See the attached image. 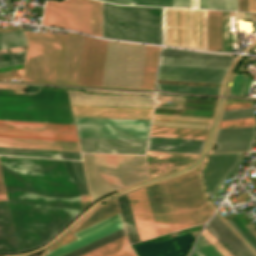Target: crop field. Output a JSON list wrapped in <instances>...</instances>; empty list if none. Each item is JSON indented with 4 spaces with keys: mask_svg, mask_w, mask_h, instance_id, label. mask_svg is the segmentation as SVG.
<instances>
[{
    "mask_svg": "<svg viewBox=\"0 0 256 256\" xmlns=\"http://www.w3.org/2000/svg\"><path fill=\"white\" fill-rule=\"evenodd\" d=\"M157 231V235L170 233V227L158 189V185H149L144 188Z\"/></svg>",
    "mask_w": 256,
    "mask_h": 256,
    "instance_id": "23",
    "label": "crop field"
},
{
    "mask_svg": "<svg viewBox=\"0 0 256 256\" xmlns=\"http://www.w3.org/2000/svg\"><path fill=\"white\" fill-rule=\"evenodd\" d=\"M238 10L248 11V0H238Z\"/></svg>",
    "mask_w": 256,
    "mask_h": 256,
    "instance_id": "48",
    "label": "crop field"
},
{
    "mask_svg": "<svg viewBox=\"0 0 256 256\" xmlns=\"http://www.w3.org/2000/svg\"><path fill=\"white\" fill-rule=\"evenodd\" d=\"M122 227L123 226L120 214L118 213L110 218H107L97 224H94L86 229L75 233V236L78 240L62 246L56 250H53L47 253L45 256H61L111 232H114Z\"/></svg>",
    "mask_w": 256,
    "mask_h": 256,
    "instance_id": "14",
    "label": "crop field"
},
{
    "mask_svg": "<svg viewBox=\"0 0 256 256\" xmlns=\"http://www.w3.org/2000/svg\"><path fill=\"white\" fill-rule=\"evenodd\" d=\"M192 256H222V255L203 236H201Z\"/></svg>",
    "mask_w": 256,
    "mask_h": 256,
    "instance_id": "38",
    "label": "crop field"
},
{
    "mask_svg": "<svg viewBox=\"0 0 256 256\" xmlns=\"http://www.w3.org/2000/svg\"><path fill=\"white\" fill-rule=\"evenodd\" d=\"M239 154L240 153H223L214 154L211 157L202 172L206 192L212 191Z\"/></svg>",
    "mask_w": 256,
    "mask_h": 256,
    "instance_id": "19",
    "label": "crop field"
},
{
    "mask_svg": "<svg viewBox=\"0 0 256 256\" xmlns=\"http://www.w3.org/2000/svg\"><path fill=\"white\" fill-rule=\"evenodd\" d=\"M171 231L206 222L213 211L204 200L197 171L158 184Z\"/></svg>",
    "mask_w": 256,
    "mask_h": 256,
    "instance_id": "5",
    "label": "crop field"
},
{
    "mask_svg": "<svg viewBox=\"0 0 256 256\" xmlns=\"http://www.w3.org/2000/svg\"><path fill=\"white\" fill-rule=\"evenodd\" d=\"M205 228L233 256H255L216 215Z\"/></svg>",
    "mask_w": 256,
    "mask_h": 256,
    "instance_id": "18",
    "label": "crop field"
},
{
    "mask_svg": "<svg viewBox=\"0 0 256 256\" xmlns=\"http://www.w3.org/2000/svg\"><path fill=\"white\" fill-rule=\"evenodd\" d=\"M0 154L81 159L79 152H71V151H54V150L0 147Z\"/></svg>",
    "mask_w": 256,
    "mask_h": 256,
    "instance_id": "25",
    "label": "crop field"
},
{
    "mask_svg": "<svg viewBox=\"0 0 256 256\" xmlns=\"http://www.w3.org/2000/svg\"><path fill=\"white\" fill-rule=\"evenodd\" d=\"M173 7L190 8V0H173ZM191 8H198V0H191ZM199 8L237 10V0H199Z\"/></svg>",
    "mask_w": 256,
    "mask_h": 256,
    "instance_id": "27",
    "label": "crop field"
},
{
    "mask_svg": "<svg viewBox=\"0 0 256 256\" xmlns=\"http://www.w3.org/2000/svg\"><path fill=\"white\" fill-rule=\"evenodd\" d=\"M230 219L241 230L246 238L256 247V238L247 230V228L240 222V220L236 216L231 217Z\"/></svg>",
    "mask_w": 256,
    "mask_h": 256,
    "instance_id": "43",
    "label": "crop field"
},
{
    "mask_svg": "<svg viewBox=\"0 0 256 256\" xmlns=\"http://www.w3.org/2000/svg\"><path fill=\"white\" fill-rule=\"evenodd\" d=\"M207 131L151 127L150 136L205 140Z\"/></svg>",
    "mask_w": 256,
    "mask_h": 256,
    "instance_id": "31",
    "label": "crop field"
},
{
    "mask_svg": "<svg viewBox=\"0 0 256 256\" xmlns=\"http://www.w3.org/2000/svg\"><path fill=\"white\" fill-rule=\"evenodd\" d=\"M82 256H135L126 237H122Z\"/></svg>",
    "mask_w": 256,
    "mask_h": 256,
    "instance_id": "30",
    "label": "crop field"
},
{
    "mask_svg": "<svg viewBox=\"0 0 256 256\" xmlns=\"http://www.w3.org/2000/svg\"><path fill=\"white\" fill-rule=\"evenodd\" d=\"M222 11H208L207 50H221Z\"/></svg>",
    "mask_w": 256,
    "mask_h": 256,
    "instance_id": "26",
    "label": "crop field"
},
{
    "mask_svg": "<svg viewBox=\"0 0 256 256\" xmlns=\"http://www.w3.org/2000/svg\"><path fill=\"white\" fill-rule=\"evenodd\" d=\"M160 56L232 61L234 57L163 48Z\"/></svg>",
    "mask_w": 256,
    "mask_h": 256,
    "instance_id": "34",
    "label": "crop field"
},
{
    "mask_svg": "<svg viewBox=\"0 0 256 256\" xmlns=\"http://www.w3.org/2000/svg\"><path fill=\"white\" fill-rule=\"evenodd\" d=\"M0 136L77 141L74 126L0 121Z\"/></svg>",
    "mask_w": 256,
    "mask_h": 256,
    "instance_id": "11",
    "label": "crop field"
},
{
    "mask_svg": "<svg viewBox=\"0 0 256 256\" xmlns=\"http://www.w3.org/2000/svg\"><path fill=\"white\" fill-rule=\"evenodd\" d=\"M160 48L147 46L140 88L152 89Z\"/></svg>",
    "mask_w": 256,
    "mask_h": 256,
    "instance_id": "29",
    "label": "crop field"
},
{
    "mask_svg": "<svg viewBox=\"0 0 256 256\" xmlns=\"http://www.w3.org/2000/svg\"><path fill=\"white\" fill-rule=\"evenodd\" d=\"M103 1H109L116 4L132 5V0H103Z\"/></svg>",
    "mask_w": 256,
    "mask_h": 256,
    "instance_id": "49",
    "label": "crop field"
},
{
    "mask_svg": "<svg viewBox=\"0 0 256 256\" xmlns=\"http://www.w3.org/2000/svg\"><path fill=\"white\" fill-rule=\"evenodd\" d=\"M92 202L149 178L144 156L82 154Z\"/></svg>",
    "mask_w": 256,
    "mask_h": 256,
    "instance_id": "4",
    "label": "crop field"
},
{
    "mask_svg": "<svg viewBox=\"0 0 256 256\" xmlns=\"http://www.w3.org/2000/svg\"><path fill=\"white\" fill-rule=\"evenodd\" d=\"M133 5L172 7V0H133Z\"/></svg>",
    "mask_w": 256,
    "mask_h": 256,
    "instance_id": "42",
    "label": "crop field"
},
{
    "mask_svg": "<svg viewBox=\"0 0 256 256\" xmlns=\"http://www.w3.org/2000/svg\"><path fill=\"white\" fill-rule=\"evenodd\" d=\"M176 11H168L167 42L175 43ZM186 12H178L177 43L185 44ZM196 13L188 12L187 45L195 46ZM206 13H198L197 46L205 47Z\"/></svg>",
    "mask_w": 256,
    "mask_h": 256,
    "instance_id": "13",
    "label": "crop field"
},
{
    "mask_svg": "<svg viewBox=\"0 0 256 256\" xmlns=\"http://www.w3.org/2000/svg\"><path fill=\"white\" fill-rule=\"evenodd\" d=\"M250 117H255L254 110L252 108H247V109L223 111L220 120L250 118Z\"/></svg>",
    "mask_w": 256,
    "mask_h": 256,
    "instance_id": "40",
    "label": "crop field"
},
{
    "mask_svg": "<svg viewBox=\"0 0 256 256\" xmlns=\"http://www.w3.org/2000/svg\"><path fill=\"white\" fill-rule=\"evenodd\" d=\"M24 32L29 48L23 80L76 84L83 36Z\"/></svg>",
    "mask_w": 256,
    "mask_h": 256,
    "instance_id": "2",
    "label": "crop field"
},
{
    "mask_svg": "<svg viewBox=\"0 0 256 256\" xmlns=\"http://www.w3.org/2000/svg\"><path fill=\"white\" fill-rule=\"evenodd\" d=\"M158 90L218 94L220 88L157 84Z\"/></svg>",
    "mask_w": 256,
    "mask_h": 256,
    "instance_id": "35",
    "label": "crop field"
},
{
    "mask_svg": "<svg viewBox=\"0 0 256 256\" xmlns=\"http://www.w3.org/2000/svg\"><path fill=\"white\" fill-rule=\"evenodd\" d=\"M117 203L116 200H109L105 205L101 204L97 206L86 218H84L77 226L84 224L90 220H93L99 216H102L108 212H111L115 209H117ZM76 226V227H77Z\"/></svg>",
    "mask_w": 256,
    "mask_h": 256,
    "instance_id": "37",
    "label": "crop field"
},
{
    "mask_svg": "<svg viewBox=\"0 0 256 256\" xmlns=\"http://www.w3.org/2000/svg\"><path fill=\"white\" fill-rule=\"evenodd\" d=\"M118 212H119V210L117 209V210H115V211H113V212H111V213H109V214H106V215H104V216H102V217H100V218H98V219H96V220H93V221H91V222H89V223H87V224H85V225H82V226H80V227H78V228L72 230V232L75 233V232H77V231H79V230H81V229H83V228H85V227H87V226H89V225H92V224H94V223H96V222H98V221H100V220H102V219H104V218H106V217H109V216H111V215H113V214H116V213H118Z\"/></svg>",
    "mask_w": 256,
    "mask_h": 256,
    "instance_id": "46",
    "label": "crop field"
},
{
    "mask_svg": "<svg viewBox=\"0 0 256 256\" xmlns=\"http://www.w3.org/2000/svg\"><path fill=\"white\" fill-rule=\"evenodd\" d=\"M73 163H74L79 193L80 195H88L81 161H73Z\"/></svg>",
    "mask_w": 256,
    "mask_h": 256,
    "instance_id": "41",
    "label": "crop field"
},
{
    "mask_svg": "<svg viewBox=\"0 0 256 256\" xmlns=\"http://www.w3.org/2000/svg\"><path fill=\"white\" fill-rule=\"evenodd\" d=\"M256 127L218 129L214 143L254 141Z\"/></svg>",
    "mask_w": 256,
    "mask_h": 256,
    "instance_id": "28",
    "label": "crop field"
},
{
    "mask_svg": "<svg viewBox=\"0 0 256 256\" xmlns=\"http://www.w3.org/2000/svg\"><path fill=\"white\" fill-rule=\"evenodd\" d=\"M231 62L160 57L159 64L227 69Z\"/></svg>",
    "mask_w": 256,
    "mask_h": 256,
    "instance_id": "32",
    "label": "crop field"
},
{
    "mask_svg": "<svg viewBox=\"0 0 256 256\" xmlns=\"http://www.w3.org/2000/svg\"><path fill=\"white\" fill-rule=\"evenodd\" d=\"M0 146L79 151L77 142L36 139L2 138Z\"/></svg>",
    "mask_w": 256,
    "mask_h": 256,
    "instance_id": "22",
    "label": "crop field"
},
{
    "mask_svg": "<svg viewBox=\"0 0 256 256\" xmlns=\"http://www.w3.org/2000/svg\"><path fill=\"white\" fill-rule=\"evenodd\" d=\"M162 8L103 2V37L161 44Z\"/></svg>",
    "mask_w": 256,
    "mask_h": 256,
    "instance_id": "6",
    "label": "crop field"
},
{
    "mask_svg": "<svg viewBox=\"0 0 256 256\" xmlns=\"http://www.w3.org/2000/svg\"><path fill=\"white\" fill-rule=\"evenodd\" d=\"M78 136L147 140L150 121L74 118Z\"/></svg>",
    "mask_w": 256,
    "mask_h": 256,
    "instance_id": "10",
    "label": "crop field"
},
{
    "mask_svg": "<svg viewBox=\"0 0 256 256\" xmlns=\"http://www.w3.org/2000/svg\"><path fill=\"white\" fill-rule=\"evenodd\" d=\"M42 23L102 37V2L47 1Z\"/></svg>",
    "mask_w": 256,
    "mask_h": 256,
    "instance_id": "8",
    "label": "crop field"
},
{
    "mask_svg": "<svg viewBox=\"0 0 256 256\" xmlns=\"http://www.w3.org/2000/svg\"><path fill=\"white\" fill-rule=\"evenodd\" d=\"M226 70L159 65L157 79L221 83Z\"/></svg>",
    "mask_w": 256,
    "mask_h": 256,
    "instance_id": "15",
    "label": "crop field"
},
{
    "mask_svg": "<svg viewBox=\"0 0 256 256\" xmlns=\"http://www.w3.org/2000/svg\"><path fill=\"white\" fill-rule=\"evenodd\" d=\"M25 44H27V42L22 30L7 32V33H0V49L20 46Z\"/></svg>",
    "mask_w": 256,
    "mask_h": 256,
    "instance_id": "36",
    "label": "crop field"
},
{
    "mask_svg": "<svg viewBox=\"0 0 256 256\" xmlns=\"http://www.w3.org/2000/svg\"><path fill=\"white\" fill-rule=\"evenodd\" d=\"M154 111L183 113V110L155 108Z\"/></svg>",
    "mask_w": 256,
    "mask_h": 256,
    "instance_id": "50",
    "label": "crop field"
},
{
    "mask_svg": "<svg viewBox=\"0 0 256 256\" xmlns=\"http://www.w3.org/2000/svg\"><path fill=\"white\" fill-rule=\"evenodd\" d=\"M0 120L74 125L66 90L14 94L0 89Z\"/></svg>",
    "mask_w": 256,
    "mask_h": 256,
    "instance_id": "3",
    "label": "crop field"
},
{
    "mask_svg": "<svg viewBox=\"0 0 256 256\" xmlns=\"http://www.w3.org/2000/svg\"><path fill=\"white\" fill-rule=\"evenodd\" d=\"M0 168L18 252L43 245L82 211L72 161L0 156Z\"/></svg>",
    "mask_w": 256,
    "mask_h": 256,
    "instance_id": "1",
    "label": "crop field"
},
{
    "mask_svg": "<svg viewBox=\"0 0 256 256\" xmlns=\"http://www.w3.org/2000/svg\"><path fill=\"white\" fill-rule=\"evenodd\" d=\"M253 143L254 142L214 144L217 145V148L213 150L212 153L251 150Z\"/></svg>",
    "mask_w": 256,
    "mask_h": 256,
    "instance_id": "39",
    "label": "crop field"
},
{
    "mask_svg": "<svg viewBox=\"0 0 256 256\" xmlns=\"http://www.w3.org/2000/svg\"><path fill=\"white\" fill-rule=\"evenodd\" d=\"M74 117L150 120L153 101L147 98L81 95L69 91Z\"/></svg>",
    "mask_w": 256,
    "mask_h": 256,
    "instance_id": "7",
    "label": "crop field"
},
{
    "mask_svg": "<svg viewBox=\"0 0 256 256\" xmlns=\"http://www.w3.org/2000/svg\"><path fill=\"white\" fill-rule=\"evenodd\" d=\"M248 230L256 237V229L254 226L250 223L249 225L246 226Z\"/></svg>",
    "mask_w": 256,
    "mask_h": 256,
    "instance_id": "52",
    "label": "crop field"
},
{
    "mask_svg": "<svg viewBox=\"0 0 256 256\" xmlns=\"http://www.w3.org/2000/svg\"><path fill=\"white\" fill-rule=\"evenodd\" d=\"M145 49L108 41L102 86L139 88Z\"/></svg>",
    "mask_w": 256,
    "mask_h": 256,
    "instance_id": "9",
    "label": "crop field"
},
{
    "mask_svg": "<svg viewBox=\"0 0 256 256\" xmlns=\"http://www.w3.org/2000/svg\"><path fill=\"white\" fill-rule=\"evenodd\" d=\"M24 61H25V58L17 59V60H11V61H6V62H0V67L11 66V65H16V64H22V63H24Z\"/></svg>",
    "mask_w": 256,
    "mask_h": 256,
    "instance_id": "47",
    "label": "crop field"
},
{
    "mask_svg": "<svg viewBox=\"0 0 256 256\" xmlns=\"http://www.w3.org/2000/svg\"><path fill=\"white\" fill-rule=\"evenodd\" d=\"M211 118L154 114L151 126L208 130Z\"/></svg>",
    "mask_w": 256,
    "mask_h": 256,
    "instance_id": "21",
    "label": "crop field"
},
{
    "mask_svg": "<svg viewBox=\"0 0 256 256\" xmlns=\"http://www.w3.org/2000/svg\"><path fill=\"white\" fill-rule=\"evenodd\" d=\"M185 103L214 105L215 101L185 98ZM184 108L206 109V110L214 109V108H207V107H192V106H184Z\"/></svg>",
    "mask_w": 256,
    "mask_h": 256,
    "instance_id": "44",
    "label": "crop field"
},
{
    "mask_svg": "<svg viewBox=\"0 0 256 256\" xmlns=\"http://www.w3.org/2000/svg\"><path fill=\"white\" fill-rule=\"evenodd\" d=\"M205 141L150 137L147 150L199 154Z\"/></svg>",
    "mask_w": 256,
    "mask_h": 256,
    "instance_id": "20",
    "label": "crop field"
},
{
    "mask_svg": "<svg viewBox=\"0 0 256 256\" xmlns=\"http://www.w3.org/2000/svg\"><path fill=\"white\" fill-rule=\"evenodd\" d=\"M131 205L135 223L138 229L140 240L156 237V231L144 193V189H139L127 194Z\"/></svg>",
    "mask_w": 256,
    "mask_h": 256,
    "instance_id": "17",
    "label": "crop field"
},
{
    "mask_svg": "<svg viewBox=\"0 0 256 256\" xmlns=\"http://www.w3.org/2000/svg\"><path fill=\"white\" fill-rule=\"evenodd\" d=\"M82 152L144 154L147 141L79 138Z\"/></svg>",
    "mask_w": 256,
    "mask_h": 256,
    "instance_id": "16",
    "label": "crop field"
},
{
    "mask_svg": "<svg viewBox=\"0 0 256 256\" xmlns=\"http://www.w3.org/2000/svg\"><path fill=\"white\" fill-rule=\"evenodd\" d=\"M249 11L256 12V0H249Z\"/></svg>",
    "mask_w": 256,
    "mask_h": 256,
    "instance_id": "51",
    "label": "crop field"
},
{
    "mask_svg": "<svg viewBox=\"0 0 256 256\" xmlns=\"http://www.w3.org/2000/svg\"><path fill=\"white\" fill-rule=\"evenodd\" d=\"M106 44L84 36L77 84L101 86Z\"/></svg>",
    "mask_w": 256,
    "mask_h": 256,
    "instance_id": "12",
    "label": "crop field"
},
{
    "mask_svg": "<svg viewBox=\"0 0 256 256\" xmlns=\"http://www.w3.org/2000/svg\"><path fill=\"white\" fill-rule=\"evenodd\" d=\"M17 253L8 206L0 202V254Z\"/></svg>",
    "mask_w": 256,
    "mask_h": 256,
    "instance_id": "24",
    "label": "crop field"
},
{
    "mask_svg": "<svg viewBox=\"0 0 256 256\" xmlns=\"http://www.w3.org/2000/svg\"><path fill=\"white\" fill-rule=\"evenodd\" d=\"M25 54H26V51L18 52V53H12V54H7V55H1L0 56V61H6V60H11V59L23 58V57H25Z\"/></svg>",
    "mask_w": 256,
    "mask_h": 256,
    "instance_id": "45",
    "label": "crop field"
},
{
    "mask_svg": "<svg viewBox=\"0 0 256 256\" xmlns=\"http://www.w3.org/2000/svg\"><path fill=\"white\" fill-rule=\"evenodd\" d=\"M117 200H118V204H119V207H120L122 218H123V221H124V224H125V228H126V231H127L129 242L133 243V242L140 241L137 230H136V226H135V223H134V219H133V216H132V212H131V209H130V206H129V202H128V199H127V195L125 194V195L117 198Z\"/></svg>",
    "mask_w": 256,
    "mask_h": 256,
    "instance_id": "33",
    "label": "crop field"
}]
</instances>
